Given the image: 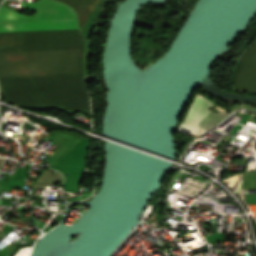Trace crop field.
Returning a JSON list of instances; mask_svg holds the SVG:
<instances>
[{"label": "crop field", "mask_w": 256, "mask_h": 256, "mask_svg": "<svg viewBox=\"0 0 256 256\" xmlns=\"http://www.w3.org/2000/svg\"><path fill=\"white\" fill-rule=\"evenodd\" d=\"M233 82L238 90L256 94V40L240 58Z\"/></svg>", "instance_id": "2"}, {"label": "crop field", "mask_w": 256, "mask_h": 256, "mask_svg": "<svg viewBox=\"0 0 256 256\" xmlns=\"http://www.w3.org/2000/svg\"><path fill=\"white\" fill-rule=\"evenodd\" d=\"M227 115L215 108L210 100L197 94L178 131L198 137L211 126L220 124Z\"/></svg>", "instance_id": "1"}]
</instances>
